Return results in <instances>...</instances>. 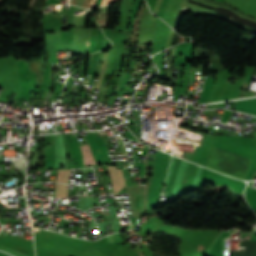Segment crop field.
Listing matches in <instances>:
<instances>
[{
    "instance_id": "8a807250",
    "label": "crop field",
    "mask_w": 256,
    "mask_h": 256,
    "mask_svg": "<svg viewBox=\"0 0 256 256\" xmlns=\"http://www.w3.org/2000/svg\"><path fill=\"white\" fill-rule=\"evenodd\" d=\"M110 175L111 183L113 186L114 194H117L119 190L125 186L122 171L116 170V167L107 166Z\"/></svg>"
},
{
    "instance_id": "ac0d7876",
    "label": "crop field",
    "mask_w": 256,
    "mask_h": 256,
    "mask_svg": "<svg viewBox=\"0 0 256 256\" xmlns=\"http://www.w3.org/2000/svg\"><path fill=\"white\" fill-rule=\"evenodd\" d=\"M80 148H81V151H82V157H83L84 165L96 164L93 157H92L89 145L87 144L85 146H81Z\"/></svg>"
},
{
    "instance_id": "34b2d1b8",
    "label": "crop field",
    "mask_w": 256,
    "mask_h": 256,
    "mask_svg": "<svg viewBox=\"0 0 256 256\" xmlns=\"http://www.w3.org/2000/svg\"><path fill=\"white\" fill-rule=\"evenodd\" d=\"M70 170H58L56 182L68 183Z\"/></svg>"
},
{
    "instance_id": "412701ff",
    "label": "crop field",
    "mask_w": 256,
    "mask_h": 256,
    "mask_svg": "<svg viewBox=\"0 0 256 256\" xmlns=\"http://www.w3.org/2000/svg\"><path fill=\"white\" fill-rule=\"evenodd\" d=\"M68 185H58L55 187L56 197H66L67 196Z\"/></svg>"
},
{
    "instance_id": "f4fd0767",
    "label": "crop field",
    "mask_w": 256,
    "mask_h": 256,
    "mask_svg": "<svg viewBox=\"0 0 256 256\" xmlns=\"http://www.w3.org/2000/svg\"><path fill=\"white\" fill-rule=\"evenodd\" d=\"M0 250L6 251V252H8V253H10V254H12V255H14V256H25V255H22V254H20V253H17V252H15V251H12V250L7 249V248L2 247V246H0Z\"/></svg>"
},
{
    "instance_id": "dd49c442",
    "label": "crop field",
    "mask_w": 256,
    "mask_h": 256,
    "mask_svg": "<svg viewBox=\"0 0 256 256\" xmlns=\"http://www.w3.org/2000/svg\"><path fill=\"white\" fill-rule=\"evenodd\" d=\"M95 1H96V0H92L91 7H93V6H94ZM91 7H90V8H91Z\"/></svg>"
},
{
    "instance_id": "e52e79f7",
    "label": "crop field",
    "mask_w": 256,
    "mask_h": 256,
    "mask_svg": "<svg viewBox=\"0 0 256 256\" xmlns=\"http://www.w3.org/2000/svg\"><path fill=\"white\" fill-rule=\"evenodd\" d=\"M252 136L256 138V132H255V133H253V134H252Z\"/></svg>"
},
{
    "instance_id": "d8731c3e",
    "label": "crop field",
    "mask_w": 256,
    "mask_h": 256,
    "mask_svg": "<svg viewBox=\"0 0 256 256\" xmlns=\"http://www.w3.org/2000/svg\"><path fill=\"white\" fill-rule=\"evenodd\" d=\"M142 154V153H141Z\"/></svg>"
}]
</instances>
